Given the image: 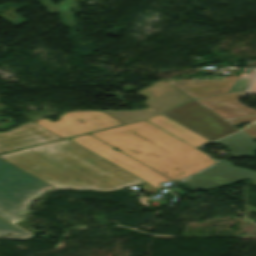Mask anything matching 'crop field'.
Masks as SVG:
<instances>
[{
  "label": "crop field",
  "instance_id": "crop-field-1",
  "mask_svg": "<svg viewBox=\"0 0 256 256\" xmlns=\"http://www.w3.org/2000/svg\"><path fill=\"white\" fill-rule=\"evenodd\" d=\"M52 187L119 191L142 184L146 194L159 193L147 183L66 139L0 155Z\"/></svg>",
  "mask_w": 256,
  "mask_h": 256
},
{
  "label": "crop field",
  "instance_id": "crop-field-2",
  "mask_svg": "<svg viewBox=\"0 0 256 256\" xmlns=\"http://www.w3.org/2000/svg\"><path fill=\"white\" fill-rule=\"evenodd\" d=\"M91 135L175 182L216 162L146 121Z\"/></svg>",
  "mask_w": 256,
  "mask_h": 256
},
{
  "label": "crop field",
  "instance_id": "crop-field-3",
  "mask_svg": "<svg viewBox=\"0 0 256 256\" xmlns=\"http://www.w3.org/2000/svg\"><path fill=\"white\" fill-rule=\"evenodd\" d=\"M54 189L12 164L0 159V217L36 234L27 221L34 199Z\"/></svg>",
  "mask_w": 256,
  "mask_h": 256
},
{
  "label": "crop field",
  "instance_id": "crop-field-4",
  "mask_svg": "<svg viewBox=\"0 0 256 256\" xmlns=\"http://www.w3.org/2000/svg\"><path fill=\"white\" fill-rule=\"evenodd\" d=\"M162 114L211 141L239 131L195 100Z\"/></svg>",
  "mask_w": 256,
  "mask_h": 256
},
{
  "label": "crop field",
  "instance_id": "crop-field-5",
  "mask_svg": "<svg viewBox=\"0 0 256 256\" xmlns=\"http://www.w3.org/2000/svg\"><path fill=\"white\" fill-rule=\"evenodd\" d=\"M165 91H167V93H165ZM136 94L147 100L144 103L150 106L148 109L139 111L103 112L125 124H128L147 119L163 112L172 106L192 100L190 97L175 88L170 83L161 81L155 82L153 86L148 87ZM155 107L159 108L160 110H156Z\"/></svg>",
  "mask_w": 256,
  "mask_h": 256
},
{
  "label": "crop field",
  "instance_id": "crop-field-6",
  "mask_svg": "<svg viewBox=\"0 0 256 256\" xmlns=\"http://www.w3.org/2000/svg\"><path fill=\"white\" fill-rule=\"evenodd\" d=\"M58 121L40 119L33 121L53 133L66 138L100 129L123 125V123L100 111H74L65 113Z\"/></svg>",
  "mask_w": 256,
  "mask_h": 256
},
{
  "label": "crop field",
  "instance_id": "crop-field-7",
  "mask_svg": "<svg viewBox=\"0 0 256 256\" xmlns=\"http://www.w3.org/2000/svg\"><path fill=\"white\" fill-rule=\"evenodd\" d=\"M70 140L103 157L111 163L146 181L154 188H160L159 182H169L170 179L148 168L142 163L120 153L112 147L102 143L93 136L86 134Z\"/></svg>",
  "mask_w": 256,
  "mask_h": 256
},
{
  "label": "crop field",
  "instance_id": "crop-field-8",
  "mask_svg": "<svg viewBox=\"0 0 256 256\" xmlns=\"http://www.w3.org/2000/svg\"><path fill=\"white\" fill-rule=\"evenodd\" d=\"M244 179L256 180V172L233 166L231 162L221 160L216 166L192 178L185 179L183 182L199 190L203 187L217 188L226 186Z\"/></svg>",
  "mask_w": 256,
  "mask_h": 256
},
{
  "label": "crop field",
  "instance_id": "crop-field-9",
  "mask_svg": "<svg viewBox=\"0 0 256 256\" xmlns=\"http://www.w3.org/2000/svg\"><path fill=\"white\" fill-rule=\"evenodd\" d=\"M61 139L43 127L27 122L4 133L0 132V153Z\"/></svg>",
  "mask_w": 256,
  "mask_h": 256
},
{
  "label": "crop field",
  "instance_id": "crop-field-10",
  "mask_svg": "<svg viewBox=\"0 0 256 256\" xmlns=\"http://www.w3.org/2000/svg\"><path fill=\"white\" fill-rule=\"evenodd\" d=\"M243 93H246V91L196 100L224 120L256 115V111L243 106L237 101V98Z\"/></svg>",
  "mask_w": 256,
  "mask_h": 256
},
{
  "label": "crop field",
  "instance_id": "crop-field-11",
  "mask_svg": "<svg viewBox=\"0 0 256 256\" xmlns=\"http://www.w3.org/2000/svg\"><path fill=\"white\" fill-rule=\"evenodd\" d=\"M237 76H228L225 80H167L193 99L229 93Z\"/></svg>",
  "mask_w": 256,
  "mask_h": 256
},
{
  "label": "crop field",
  "instance_id": "crop-field-12",
  "mask_svg": "<svg viewBox=\"0 0 256 256\" xmlns=\"http://www.w3.org/2000/svg\"><path fill=\"white\" fill-rule=\"evenodd\" d=\"M147 121L162 128L163 130L169 132L170 134L176 136L177 138L183 140L195 148L210 142L209 140L201 137L200 135L190 131L189 129L181 126L180 124L161 114L154 116Z\"/></svg>",
  "mask_w": 256,
  "mask_h": 256
},
{
  "label": "crop field",
  "instance_id": "crop-field-13",
  "mask_svg": "<svg viewBox=\"0 0 256 256\" xmlns=\"http://www.w3.org/2000/svg\"><path fill=\"white\" fill-rule=\"evenodd\" d=\"M229 148L231 157H254L253 151H256V143L243 134L236 133L222 140L215 142Z\"/></svg>",
  "mask_w": 256,
  "mask_h": 256
},
{
  "label": "crop field",
  "instance_id": "crop-field-14",
  "mask_svg": "<svg viewBox=\"0 0 256 256\" xmlns=\"http://www.w3.org/2000/svg\"><path fill=\"white\" fill-rule=\"evenodd\" d=\"M6 234H11L12 236H5ZM0 238L29 239L34 237L0 219Z\"/></svg>",
  "mask_w": 256,
  "mask_h": 256
},
{
  "label": "crop field",
  "instance_id": "crop-field-15",
  "mask_svg": "<svg viewBox=\"0 0 256 256\" xmlns=\"http://www.w3.org/2000/svg\"><path fill=\"white\" fill-rule=\"evenodd\" d=\"M255 74H256V71H253V70H251L249 74H241L239 79L235 82L230 92L246 90V88L250 84Z\"/></svg>",
  "mask_w": 256,
  "mask_h": 256
},
{
  "label": "crop field",
  "instance_id": "crop-field-16",
  "mask_svg": "<svg viewBox=\"0 0 256 256\" xmlns=\"http://www.w3.org/2000/svg\"><path fill=\"white\" fill-rule=\"evenodd\" d=\"M253 121H256V116H251V117H246V118H241V119H234V120H227V122H229L232 125L248 123V122H253Z\"/></svg>",
  "mask_w": 256,
  "mask_h": 256
},
{
  "label": "crop field",
  "instance_id": "crop-field-17",
  "mask_svg": "<svg viewBox=\"0 0 256 256\" xmlns=\"http://www.w3.org/2000/svg\"><path fill=\"white\" fill-rule=\"evenodd\" d=\"M242 132H244L245 134H247L251 138L256 139V124L249 126L247 129H245Z\"/></svg>",
  "mask_w": 256,
  "mask_h": 256
},
{
  "label": "crop field",
  "instance_id": "crop-field-18",
  "mask_svg": "<svg viewBox=\"0 0 256 256\" xmlns=\"http://www.w3.org/2000/svg\"><path fill=\"white\" fill-rule=\"evenodd\" d=\"M249 92H255L256 93V79L254 80V82L252 83Z\"/></svg>",
  "mask_w": 256,
  "mask_h": 256
}]
</instances>
